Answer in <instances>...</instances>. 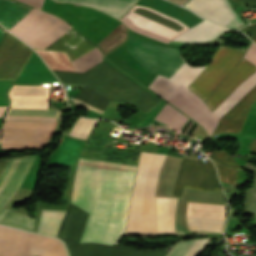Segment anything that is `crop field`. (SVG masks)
<instances>
[{"mask_svg": "<svg viewBox=\"0 0 256 256\" xmlns=\"http://www.w3.org/2000/svg\"><path fill=\"white\" fill-rule=\"evenodd\" d=\"M134 170L79 159L71 203L90 213L81 242L115 245L123 236Z\"/></svg>", "mask_w": 256, "mask_h": 256, "instance_id": "obj_1", "label": "crop field"}, {"mask_svg": "<svg viewBox=\"0 0 256 256\" xmlns=\"http://www.w3.org/2000/svg\"><path fill=\"white\" fill-rule=\"evenodd\" d=\"M52 71L61 82L87 85L112 102L125 101L146 113L159 102L103 61L83 73Z\"/></svg>", "mask_w": 256, "mask_h": 256, "instance_id": "obj_2", "label": "crop field"}, {"mask_svg": "<svg viewBox=\"0 0 256 256\" xmlns=\"http://www.w3.org/2000/svg\"><path fill=\"white\" fill-rule=\"evenodd\" d=\"M165 156L141 152L125 235L155 237L154 192Z\"/></svg>", "mask_w": 256, "mask_h": 256, "instance_id": "obj_3", "label": "crop field"}, {"mask_svg": "<svg viewBox=\"0 0 256 256\" xmlns=\"http://www.w3.org/2000/svg\"><path fill=\"white\" fill-rule=\"evenodd\" d=\"M88 213L70 205L57 237L67 243L70 256H166V250L137 251L98 244H78Z\"/></svg>", "mask_w": 256, "mask_h": 256, "instance_id": "obj_4", "label": "crop field"}, {"mask_svg": "<svg viewBox=\"0 0 256 256\" xmlns=\"http://www.w3.org/2000/svg\"><path fill=\"white\" fill-rule=\"evenodd\" d=\"M57 110L9 108L1 142L44 143Z\"/></svg>", "mask_w": 256, "mask_h": 256, "instance_id": "obj_5", "label": "crop field"}, {"mask_svg": "<svg viewBox=\"0 0 256 256\" xmlns=\"http://www.w3.org/2000/svg\"><path fill=\"white\" fill-rule=\"evenodd\" d=\"M71 29L63 20L34 9L9 31L31 47L45 48Z\"/></svg>", "mask_w": 256, "mask_h": 256, "instance_id": "obj_6", "label": "crop field"}, {"mask_svg": "<svg viewBox=\"0 0 256 256\" xmlns=\"http://www.w3.org/2000/svg\"><path fill=\"white\" fill-rule=\"evenodd\" d=\"M14 229L0 226V256H32L38 253L44 256L66 254L62 243L57 239Z\"/></svg>", "mask_w": 256, "mask_h": 256, "instance_id": "obj_7", "label": "crop field"}, {"mask_svg": "<svg viewBox=\"0 0 256 256\" xmlns=\"http://www.w3.org/2000/svg\"><path fill=\"white\" fill-rule=\"evenodd\" d=\"M127 48L143 64L144 69L168 78L184 63L180 51L140 40L129 34Z\"/></svg>", "mask_w": 256, "mask_h": 256, "instance_id": "obj_8", "label": "crop field"}, {"mask_svg": "<svg viewBox=\"0 0 256 256\" xmlns=\"http://www.w3.org/2000/svg\"><path fill=\"white\" fill-rule=\"evenodd\" d=\"M246 49L236 50L219 47L208 66L187 87L204 102L214 91L226 74L242 58Z\"/></svg>", "mask_w": 256, "mask_h": 256, "instance_id": "obj_9", "label": "crop field"}, {"mask_svg": "<svg viewBox=\"0 0 256 256\" xmlns=\"http://www.w3.org/2000/svg\"><path fill=\"white\" fill-rule=\"evenodd\" d=\"M184 186L205 191L221 190L213 163L182 160L172 197H180Z\"/></svg>", "mask_w": 256, "mask_h": 256, "instance_id": "obj_10", "label": "crop field"}, {"mask_svg": "<svg viewBox=\"0 0 256 256\" xmlns=\"http://www.w3.org/2000/svg\"><path fill=\"white\" fill-rule=\"evenodd\" d=\"M31 51L6 31L0 43V80H15Z\"/></svg>", "mask_w": 256, "mask_h": 256, "instance_id": "obj_11", "label": "crop field"}, {"mask_svg": "<svg viewBox=\"0 0 256 256\" xmlns=\"http://www.w3.org/2000/svg\"><path fill=\"white\" fill-rule=\"evenodd\" d=\"M168 102L201 123L209 135L218 123V120L209 113L202 101L182 86L179 87Z\"/></svg>", "mask_w": 256, "mask_h": 256, "instance_id": "obj_12", "label": "crop field"}, {"mask_svg": "<svg viewBox=\"0 0 256 256\" xmlns=\"http://www.w3.org/2000/svg\"><path fill=\"white\" fill-rule=\"evenodd\" d=\"M35 156L10 159L0 176V211L24 180Z\"/></svg>", "mask_w": 256, "mask_h": 256, "instance_id": "obj_13", "label": "crop field"}, {"mask_svg": "<svg viewBox=\"0 0 256 256\" xmlns=\"http://www.w3.org/2000/svg\"><path fill=\"white\" fill-rule=\"evenodd\" d=\"M204 68L190 67L185 62L169 79L157 75L148 88L168 101L180 84L187 87Z\"/></svg>", "mask_w": 256, "mask_h": 256, "instance_id": "obj_14", "label": "crop field"}, {"mask_svg": "<svg viewBox=\"0 0 256 256\" xmlns=\"http://www.w3.org/2000/svg\"><path fill=\"white\" fill-rule=\"evenodd\" d=\"M234 69V68H233ZM256 71V66L246 59L235 67V69L222 81L215 92L206 102L211 112L249 75Z\"/></svg>", "mask_w": 256, "mask_h": 256, "instance_id": "obj_15", "label": "crop field"}, {"mask_svg": "<svg viewBox=\"0 0 256 256\" xmlns=\"http://www.w3.org/2000/svg\"><path fill=\"white\" fill-rule=\"evenodd\" d=\"M256 101V86L247 93L236 105L220 118V124L213 134L232 132L239 133L248 110L253 102Z\"/></svg>", "mask_w": 256, "mask_h": 256, "instance_id": "obj_16", "label": "crop field"}, {"mask_svg": "<svg viewBox=\"0 0 256 256\" xmlns=\"http://www.w3.org/2000/svg\"><path fill=\"white\" fill-rule=\"evenodd\" d=\"M184 7L223 26L234 18L224 0H190Z\"/></svg>", "mask_w": 256, "mask_h": 256, "instance_id": "obj_17", "label": "crop field"}, {"mask_svg": "<svg viewBox=\"0 0 256 256\" xmlns=\"http://www.w3.org/2000/svg\"><path fill=\"white\" fill-rule=\"evenodd\" d=\"M93 47L95 45L73 29L47 48L67 51L73 60Z\"/></svg>", "mask_w": 256, "mask_h": 256, "instance_id": "obj_18", "label": "crop field"}, {"mask_svg": "<svg viewBox=\"0 0 256 256\" xmlns=\"http://www.w3.org/2000/svg\"><path fill=\"white\" fill-rule=\"evenodd\" d=\"M176 199L155 197L156 233L174 232Z\"/></svg>", "mask_w": 256, "mask_h": 256, "instance_id": "obj_19", "label": "crop field"}, {"mask_svg": "<svg viewBox=\"0 0 256 256\" xmlns=\"http://www.w3.org/2000/svg\"><path fill=\"white\" fill-rule=\"evenodd\" d=\"M34 8L13 0H0V23L8 30Z\"/></svg>", "mask_w": 256, "mask_h": 256, "instance_id": "obj_20", "label": "crop field"}, {"mask_svg": "<svg viewBox=\"0 0 256 256\" xmlns=\"http://www.w3.org/2000/svg\"><path fill=\"white\" fill-rule=\"evenodd\" d=\"M226 30L215 23L209 21H202L186 32L180 34L174 40L179 41H206L218 36L221 32Z\"/></svg>", "mask_w": 256, "mask_h": 256, "instance_id": "obj_21", "label": "crop field"}, {"mask_svg": "<svg viewBox=\"0 0 256 256\" xmlns=\"http://www.w3.org/2000/svg\"><path fill=\"white\" fill-rule=\"evenodd\" d=\"M70 1L98 8L120 19L136 0H56Z\"/></svg>", "mask_w": 256, "mask_h": 256, "instance_id": "obj_22", "label": "crop field"}, {"mask_svg": "<svg viewBox=\"0 0 256 256\" xmlns=\"http://www.w3.org/2000/svg\"><path fill=\"white\" fill-rule=\"evenodd\" d=\"M256 85V72L244 80L212 113L219 119Z\"/></svg>", "mask_w": 256, "mask_h": 256, "instance_id": "obj_23", "label": "crop field"}, {"mask_svg": "<svg viewBox=\"0 0 256 256\" xmlns=\"http://www.w3.org/2000/svg\"><path fill=\"white\" fill-rule=\"evenodd\" d=\"M65 212L66 211L43 210L37 232L56 237Z\"/></svg>", "mask_w": 256, "mask_h": 256, "instance_id": "obj_24", "label": "crop field"}, {"mask_svg": "<svg viewBox=\"0 0 256 256\" xmlns=\"http://www.w3.org/2000/svg\"><path fill=\"white\" fill-rule=\"evenodd\" d=\"M20 76L24 77H35V78H45L54 79L56 78L46 67V65L39 59V57L33 51L31 57L29 58L27 64L22 70Z\"/></svg>", "mask_w": 256, "mask_h": 256, "instance_id": "obj_25", "label": "crop field"}, {"mask_svg": "<svg viewBox=\"0 0 256 256\" xmlns=\"http://www.w3.org/2000/svg\"><path fill=\"white\" fill-rule=\"evenodd\" d=\"M0 224L33 232L34 218L3 209L0 213Z\"/></svg>", "mask_w": 256, "mask_h": 256, "instance_id": "obj_26", "label": "crop field"}, {"mask_svg": "<svg viewBox=\"0 0 256 256\" xmlns=\"http://www.w3.org/2000/svg\"><path fill=\"white\" fill-rule=\"evenodd\" d=\"M189 230L222 232L224 219L187 217Z\"/></svg>", "mask_w": 256, "mask_h": 256, "instance_id": "obj_27", "label": "crop field"}, {"mask_svg": "<svg viewBox=\"0 0 256 256\" xmlns=\"http://www.w3.org/2000/svg\"><path fill=\"white\" fill-rule=\"evenodd\" d=\"M126 40V26L121 23L112 30L97 46L101 48L104 55ZM122 44V43H121Z\"/></svg>", "mask_w": 256, "mask_h": 256, "instance_id": "obj_28", "label": "crop field"}, {"mask_svg": "<svg viewBox=\"0 0 256 256\" xmlns=\"http://www.w3.org/2000/svg\"><path fill=\"white\" fill-rule=\"evenodd\" d=\"M187 119L188 118H186L184 115H182L180 112L175 110L167 103L155 117V120L178 129L181 128V126L186 122Z\"/></svg>", "mask_w": 256, "mask_h": 256, "instance_id": "obj_29", "label": "crop field"}, {"mask_svg": "<svg viewBox=\"0 0 256 256\" xmlns=\"http://www.w3.org/2000/svg\"><path fill=\"white\" fill-rule=\"evenodd\" d=\"M101 54L97 48L85 53L79 58L72 61L77 72H83L98 62L102 61Z\"/></svg>", "mask_w": 256, "mask_h": 256, "instance_id": "obj_30", "label": "crop field"}, {"mask_svg": "<svg viewBox=\"0 0 256 256\" xmlns=\"http://www.w3.org/2000/svg\"><path fill=\"white\" fill-rule=\"evenodd\" d=\"M205 240L206 239L194 240V242L193 240L179 242L172 248L168 256H182L192 242L193 243L183 256H194Z\"/></svg>", "mask_w": 256, "mask_h": 256, "instance_id": "obj_31", "label": "crop field"}, {"mask_svg": "<svg viewBox=\"0 0 256 256\" xmlns=\"http://www.w3.org/2000/svg\"><path fill=\"white\" fill-rule=\"evenodd\" d=\"M95 122L96 120L80 118L74 124L69 135L86 139Z\"/></svg>", "mask_w": 256, "mask_h": 256, "instance_id": "obj_32", "label": "crop field"}, {"mask_svg": "<svg viewBox=\"0 0 256 256\" xmlns=\"http://www.w3.org/2000/svg\"><path fill=\"white\" fill-rule=\"evenodd\" d=\"M208 157L219 162L223 166L233 168V169H240L237 163L232 158H230L226 153H224L222 150L220 151L213 150Z\"/></svg>", "mask_w": 256, "mask_h": 256, "instance_id": "obj_33", "label": "crop field"}, {"mask_svg": "<svg viewBox=\"0 0 256 256\" xmlns=\"http://www.w3.org/2000/svg\"><path fill=\"white\" fill-rule=\"evenodd\" d=\"M214 164L217 168L219 178L221 181L228 182V183H235L236 170L226 169L216 163Z\"/></svg>", "mask_w": 256, "mask_h": 256, "instance_id": "obj_34", "label": "crop field"}, {"mask_svg": "<svg viewBox=\"0 0 256 256\" xmlns=\"http://www.w3.org/2000/svg\"><path fill=\"white\" fill-rule=\"evenodd\" d=\"M13 81H0V106H8L9 100L6 92L10 88Z\"/></svg>", "mask_w": 256, "mask_h": 256, "instance_id": "obj_35", "label": "crop field"}, {"mask_svg": "<svg viewBox=\"0 0 256 256\" xmlns=\"http://www.w3.org/2000/svg\"><path fill=\"white\" fill-rule=\"evenodd\" d=\"M15 83H32V84H58L54 80H45V79H34V78H24L18 77Z\"/></svg>", "mask_w": 256, "mask_h": 256, "instance_id": "obj_36", "label": "crop field"}, {"mask_svg": "<svg viewBox=\"0 0 256 256\" xmlns=\"http://www.w3.org/2000/svg\"><path fill=\"white\" fill-rule=\"evenodd\" d=\"M247 60L256 65V45L252 42L245 57Z\"/></svg>", "mask_w": 256, "mask_h": 256, "instance_id": "obj_37", "label": "crop field"}, {"mask_svg": "<svg viewBox=\"0 0 256 256\" xmlns=\"http://www.w3.org/2000/svg\"><path fill=\"white\" fill-rule=\"evenodd\" d=\"M244 30H246L249 34H251L253 37H251V39L256 42V24L252 25V26H246L243 28Z\"/></svg>", "mask_w": 256, "mask_h": 256, "instance_id": "obj_38", "label": "crop field"}, {"mask_svg": "<svg viewBox=\"0 0 256 256\" xmlns=\"http://www.w3.org/2000/svg\"><path fill=\"white\" fill-rule=\"evenodd\" d=\"M18 1L30 4L32 6H35L41 9L44 0H18Z\"/></svg>", "mask_w": 256, "mask_h": 256, "instance_id": "obj_39", "label": "crop field"}, {"mask_svg": "<svg viewBox=\"0 0 256 256\" xmlns=\"http://www.w3.org/2000/svg\"><path fill=\"white\" fill-rule=\"evenodd\" d=\"M244 5H253L256 6V0H236Z\"/></svg>", "mask_w": 256, "mask_h": 256, "instance_id": "obj_40", "label": "crop field"}, {"mask_svg": "<svg viewBox=\"0 0 256 256\" xmlns=\"http://www.w3.org/2000/svg\"><path fill=\"white\" fill-rule=\"evenodd\" d=\"M248 147L250 150L256 153V139L252 140Z\"/></svg>", "mask_w": 256, "mask_h": 256, "instance_id": "obj_41", "label": "crop field"}, {"mask_svg": "<svg viewBox=\"0 0 256 256\" xmlns=\"http://www.w3.org/2000/svg\"><path fill=\"white\" fill-rule=\"evenodd\" d=\"M8 159L6 160H0V173L2 172L4 166L6 165Z\"/></svg>", "mask_w": 256, "mask_h": 256, "instance_id": "obj_42", "label": "crop field"}, {"mask_svg": "<svg viewBox=\"0 0 256 256\" xmlns=\"http://www.w3.org/2000/svg\"><path fill=\"white\" fill-rule=\"evenodd\" d=\"M170 1L175 2V3H177V4H183V2H184L185 0H170Z\"/></svg>", "mask_w": 256, "mask_h": 256, "instance_id": "obj_43", "label": "crop field"}, {"mask_svg": "<svg viewBox=\"0 0 256 256\" xmlns=\"http://www.w3.org/2000/svg\"><path fill=\"white\" fill-rule=\"evenodd\" d=\"M6 108H7V107H0V117L3 116L4 110H5Z\"/></svg>", "mask_w": 256, "mask_h": 256, "instance_id": "obj_44", "label": "crop field"}, {"mask_svg": "<svg viewBox=\"0 0 256 256\" xmlns=\"http://www.w3.org/2000/svg\"><path fill=\"white\" fill-rule=\"evenodd\" d=\"M3 32H2V30H1V28H0V40H1V38L3 37Z\"/></svg>", "mask_w": 256, "mask_h": 256, "instance_id": "obj_45", "label": "crop field"}, {"mask_svg": "<svg viewBox=\"0 0 256 256\" xmlns=\"http://www.w3.org/2000/svg\"><path fill=\"white\" fill-rule=\"evenodd\" d=\"M0 123H1V118H0Z\"/></svg>", "mask_w": 256, "mask_h": 256, "instance_id": "obj_46", "label": "crop field"}]
</instances>
